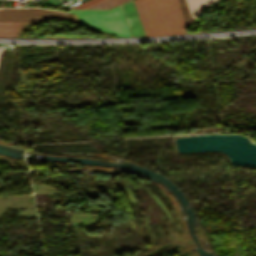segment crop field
Returning <instances> with one entry per match:
<instances>
[{
	"label": "crop field",
	"instance_id": "obj_5",
	"mask_svg": "<svg viewBox=\"0 0 256 256\" xmlns=\"http://www.w3.org/2000/svg\"><path fill=\"white\" fill-rule=\"evenodd\" d=\"M35 23H0V36L18 37L19 34Z\"/></svg>",
	"mask_w": 256,
	"mask_h": 256
},
{
	"label": "crop field",
	"instance_id": "obj_4",
	"mask_svg": "<svg viewBox=\"0 0 256 256\" xmlns=\"http://www.w3.org/2000/svg\"><path fill=\"white\" fill-rule=\"evenodd\" d=\"M122 9L132 36L145 35L133 2L122 4Z\"/></svg>",
	"mask_w": 256,
	"mask_h": 256
},
{
	"label": "crop field",
	"instance_id": "obj_7",
	"mask_svg": "<svg viewBox=\"0 0 256 256\" xmlns=\"http://www.w3.org/2000/svg\"><path fill=\"white\" fill-rule=\"evenodd\" d=\"M177 2L180 7L186 27H188L193 22V20H192L191 14L189 12L186 0H177Z\"/></svg>",
	"mask_w": 256,
	"mask_h": 256
},
{
	"label": "crop field",
	"instance_id": "obj_3",
	"mask_svg": "<svg viewBox=\"0 0 256 256\" xmlns=\"http://www.w3.org/2000/svg\"><path fill=\"white\" fill-rule=\"evenodd\" d=\"M53 19H63L74 22L73 16L67 13L44 9L0 8V22H42Z\"/></svg>",
	"mask_w": 256,
	"mask_h": 256
},
{
	"label": "crop field",
	"instance_id": "obj_6",
	"mask_svg": "<svg viewBox=\"0 0 256 256\" xmlns=\"http://www.w3.org/2000/svg\"><path fill=\"white\" fill-rule=\"evenodd\" d=\"M218 0H187L193 20L210 4Z\"/></svg>",
	"mask_w": 256,
	"mask_h": 256
},
{
	"label": "crop field",
	"instance_id": "obj_2",
	"mask_svg": "<svg viewBox=\"0 0 256 256\" xmlns=\"http://www.w3.org/2000/svg\"><path fill=\"white\" fill-rule=\"evenodd\" d=\"M80 23L93 28L115 33L120 37L130 36L120 7L111 10H72Z\"/></svg>",
	"mask_w": 256,
	"mask_h": 256
},
{
	"label": "crop field",
	"instance_id": "obj_10",
	"mask_svg": "<svg viewBox=\"0 0 256 256\" xmlns=\"http://www.w3.org/2000/svg\"><path fill=\"white\" fill-rule=\"evenodd\" d=\"M2 49L0 50V53H1Z\"/></svg>",
	"mask_w": 256,
	"mask_h": 256
},
{
	"label": "crop field",
	"instance_id": "obj_1",
	"mask_svg": "<svg viewBox=\"0 0 256 256\" xmlns=\"http://www.w3.org/2000/svg\"><path fill=\"white\" fill-rule=\"evenodd\" d=\"M146 35L187 33L176 0H133Z\"/></svg>",
	"mask_w": 256,
	"mask_h": 256
},
{
	"label": "crop field",
	"instance_id": "obj_9",
	"mask_svg": "<svg viewBox=\"0 0 256 256\" xmlns=\"http://www.w3.org/2000/svg\"><path fill=\"white\" fill-rule=\"evenodd\" d=\"M101 1H103V0H88V1H86L84 3H82V4H79V5L75 6V7H73L72 9H85V8H87L89 6H92V5H94V4L98 3V2H101Z\"/></svg>",
	"mask_w": 256,
	"mask_h": 256
},
{
	"label": "crop field",
	"instance_id": "obj_8",
	"mask_svg": "<svg viewBox=\"0 0 256 256\" xmlns=\"http://www.w3.org/2000/svg\"><path fill=\"white\" fill-rule=\"evenodd\" d=\"M125 1H128V0H105L87 9H110Z\"/></svg>",
	"mask_w": 256,
	"mask_h": 256
}]
</instances>
